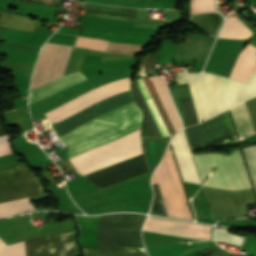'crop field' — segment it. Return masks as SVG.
I'll use <instances>...</instances> for the list:
<instances>
[{
  "mask_svg": "<svg viewBox=\"0 0 256 256\" xmlns=\"http://www.w3.org/2000/svg\"><path fill=\"white\" fill-rule=\"evenodd\" d=\"M176 82H188L199 123L256 96V73L245 84L207 73L177 74Z\"/></svg>",
  "mask_w": 256,
  "mask_h": 256,
  "instance_id": "obj_1",
  "label": "crop field"
},
{
  "mask_svg": "<svg viewBox=\"0 0 256 256\" xmlns=\"http://www.w3.org/2000/svg\"><path fill=\"white\" fill-rule=\"evenodd\" d=\"M128 90L129 77L111 81L110 83L100 86L44 115L49 119L52 125L101 99ZM131 102L132 99L129 91L121 93L101 100L77 112L76 114L52 125V127L57 137H59L95 117H100Z\"/></svg>",
  "mask_w": 256,
  "mask_h": 256,
  "instance_id": "obj_2",
  "label": "crop field"
},
{
  "mask_svg": "<svg viewBox=\"0 0 256 256\" xmlns=\"http://www.w3.org/2000/svg\"><path fill=\"white\" fill-rule=\"evenodd\" d=\"M142 112L133 102L96 118L59 138L68 147V158L95 146L112 141L141 127Z\"/></svg>",
  "mask_w": 256,
  "mask_h": 256,
  "instance_id": "obj_3",
  "label": "crop field"
},
{
  "mask_svg": "<svg viewBox=\"0 0 256 256\" xmlns=\"http://www.w3.org/2000/svg\"><path fill=\"white\" fill-rule=\"evenodd\" d=\"M144 79H145V81H146V83H147V85H148V87H149V89L152 93V96H153V98H154V100H155V102H156V104H157V106H158V108L161 112V115H162V117H163L171 135H173L176 132V130L178 131V129L181 127V120H180V118H179V116L176 112L175 106H174V104H173V102L170 98V95L167 91L166 85H165L162 77L161 76L160 77H152V80H153V82H154V84H155V86H156V88H157V90L160 94V97H161V99H162V101H163V103H164V105H165V107H166V109L169 113V116H170L176 130H175L168 114H167V111H166V109H165V107H164V105H163V103H162V101L159 97V94H158L152 80L149 77H146ZM144 79L139 78V79L135 80V82H136V84H137V86H138V88H139V90H140V92H141V94H142V96H143V98H144V100H145V102H146V104H147V106H148V108H149V110H150V112H151V114H152L160 132H161V134H162V136L163 137L170 136V134L168 132V129H167V127H166V125H165V123H164V121H163V119L160 115V112H159V110H158V108H157V106H156V104H155V102H154V100L151 96V93H150ZM135 82L131 86L132 97H133L135 103H137L138 106L142 109L143 114H144V116H145V118H146L154 136L155 137H162L158 128H157V126H156V124H155V122H154V120H153V118H152V116H151V114H150V112H149V110H148V108H147V106H146V104H145V102H144V100H143V98H142V96H141V94H140V92H139V90H138V88H137V86H136V84H135Z\"/></svg>",
  "mask_w": 256,
  "mask_h": 256,
  "instance_id": "obj_4",
  "label": "crop field"
},
{
  "mask_svg": "<svg viewBox=\"0 0 256 256\" xmlns=\"http://www.w3.org/2000/svg\"><path fill=\"white\" fill-rule=\"evenodd\" d=\"M199 176H205L213 165L211 171L206 175V180L202 185L239 190L249 188L250 183L242 161L240 151H234L231 157H225L217 154L193 155Z\"/></svg>",
  "mask_w": 256,
  "mask_h": 256,
  "instance_id": "obj_5",
  "label": "crop field"
},
{
  "mask_svg": "<svg viewBox=\"0 0 256 256\" xmlns=\"http://www.w3.org/2000/svg\"><path fill=\"white\" fill-rule=\"evenodd\" d=\"M141 129L95 147L69 161L82 176L142 153Z\"/></svg>",
  "mask_w": 256,
  "mask_h": 256,
  "instance_id": "obj_6",
  "label": "crop field"
},
{
  "mask_svg": "<svg viewBox=\"0 0 256 256\" xmlns=\"http://www.w3.org/2000/svg\"><path fill=\"white\" fill-rule=\"evenodd\" d=\"M158 183L168 215L193 220L189 206L185 204V194L178 170L169 148L160 166L154 172L152 184Z\"/></svg>",
  "mask_w": 256,
  "mask_h": 256,
  "instance_id": "obj_7",
  "label": "crop field"
},
{
  "mask_svg": "<svg viewBox=\"0 0 256 256\" xmlns=\"http://www.w3.org/2000/svg\"><path fill=\"white\" fill-rule=\"evenodd\" d=\"M26 256H74L72 231L25 241ZM24 241L7 246L0 240V256H25Z\"/></svg>",
  "mask_w": 256,
  "mask_h": 256,
  "instance_id": "obj_8",
  "label": "crop field"
},
{
  "mask_svg": "<svg viewBox=\"0 0 256 256\" xmlns=\"http://www.w3.org/2000/svg\"><path fill=\"white\" fill-rule=\"evenodd\" d=\"M45 193L41 182L23 162L0 170V203Z\"/></svg>",
  "mask_w": 256,
  "mask_h": 256,
  "instance_id": "obj_9",
  "label": "crop field"
},
{
  "mask_svg": "<svg viewBox=\"0 0 256 256\" xmlns=\"http://www.w3.org/2000/svg\"><path fill=\"white\" fill-rule=\"evenodd\" d=\"M71 48L46 43L34 71L31 90L63 75Z\"/></svg>",
  "mask_w": 256,
  "mask_h": 256,
  "instance_id": "obj_10",
  "label": "crop field"
},
{
  "mask_svg": "<svg viewBox=\"0 0 256 256\" xmlns=\"http://www.w3.org/2000/svg\"><path fill=\"white\" fill-rule=\"evenodd\" d=\"M210 228L212 227L151 216L147 217L143 225V230L146 231L187 236L200 239H210Z\"/></svg>",
  "mask_w": 256,
  "mask_h": 256,
  "instance_id": "obj_11",
  "label": "crop field"
},
{
  "mask_svg": "<svg viewBox=\"0 0 256 256\" xmlns=\"http://www.w3.org/2000/svg\"><path fill=\"white\" fill-rule=\"evenodd\" d=\"M171 144L182 180L200 183L183 129L172 138Z\"/></svg>",
  "mask_w": 256,
  "mask_h": 256,
  "instance_id": "obj_12",
  "label": "crop field"
},
{
  "mask_svg": "<svg viewBox=\"0 0 256 256\" xmlns=\"http://www.w3.org/2000/svg\"><path fill=\"white\" fill-rule=\"evenodd\" d=\"M247 109L249 111L252 123L256 131V97L245 102ZM245 103L231 108V113L233 115L234 123L238 136H243L245 134H251L254 131L253 125L251 123L248 111L246 109ZM248 139L241 140L247 143L256 142V135H251L247 137Z\"/></svg>",
  "mask_w": 256,
  "mask_h": 256,
  "instance_id": "obj_13",
  "label": "crop field"
},
{
  "mask_svg": "<svg viewBox=\"0 0 256 256\" xmlns=\"http://www.w3.org/2000/svg\"><path fill=\"white\" fill-rule=\"evenodd\" d=\"M84 80H86V78L80 72L58 78L52 82H49L41 87L32 90V92H30L29 103L44 96H47L51 93H54L56 91L65 89L74 84L82 82Z\"/></svg>",
  "mask_w": 256,
  "mask_h": 256,
  "instance_id": "obj_14",
  "label": "crop field"
},
{
  "mask_svg": "<svg viewBox=\"0 0 256 256\" xmlns=\"http://www.w3.org/2000/svg\"><path fill=\"white\" fill-rule=\"evenodd\" d=\"M255 62L256 48L248 44L247 47L239 54L229 77L241 82H246Z\"/></svg>",
  "mask_w": 256,
  "mask_h": 256,
  "instance_id": "obj_15",
  "label": "crop field"
},
{
  "mask_svg": "<svg viewBox=\"0 0 256 256\" xmlns=\"http://www.w3.org/2000/svg\"><path fill=\"white\" fill-rule=\"evenodd\" d=\"M251 35L252 32L249 28L233 16L225 19V23L218 37L247 39Z\"/></svg>",
  "mask_w": 256,
  "mask_h": 256,
  "instance_id": "obj_16",
  "label": "crop field"
},
{
  "mask_svg": "<svg viewBox=\"0 0 256 256\" xmlns=\"http://www.w3.org/2000/svg\"><path fill=\"white\" fill-rule=\"evenodd\" d=\"M210 243H214V242L209 241V242L193 243V245H189V246H179V244H175V245H167V246L149 247L146 249L149 253V256H180L181 254L187 251H190L196 248H201Z\"/></svg>",
  "mask_w": 256,
  "mask_h": 256,
  "instance_id": "obj_17",
  "label": "crop field"
},
{
  "mask_svg": "<svg viewBox=\"0 0 256 256\" xmlns=\"http://www.w3.org/2000/svg\"><path fill=\"white\" fill-rule=\"evenodd\" d=\"M35 210L29 198L0 204V217Z\"/></svg>",
  "mask_w": 256,
  "mask_h": 256,
  "instance_id": "obj_18",
  "label": "crop field"
},
{
  "mask_svg": "<svg viewBox=\"0 0 256 256\" xmlns=\"http://www.w3.org/2000/svg\"><path fill=\"white\" fill-rule=\"evenodd\" d=\"M142 45L110 42L106 52L134 55L138 53Z\"/></svg>",
  "mask_w": 256,
  "mask_h": 256,
  "instance_id": "obj_19",
  "label": "crop field"
},
{
  "mask_svg": "<svg viewBox=\"0 0 256 256\" xmlns=\"http://www.w3.org/2000/svg\"><path fill=\"white\" fill-rule=\"evenodd\" d=\"M154 189V200L152 203V207L150 210V213H155V214H162V215H167L158 185H152ZM168 216V215H167Z\"/></svg>",
  "mask_w": 256,
  "mask_h": 256,
  "instance_id": "obj_20",
  "label": "crop field"
},
{
  "mask_svg": "<svg viewBox=\"0 0 256 256\" xmlns=\"http://www.w3.org/2000/svg\"><path fill=\"white\" fill-rule=\"evenodd\" d=\"M216 11L214 0H192L191 12H211Z\"/></svg>",
  "mask_w": 256,
  "mask_h": 256,
  "instance_id": "obj_21",
  "label": "crop field"
},
{
  "mask_svg": "<svg viewBox=\"0 0 256 256\" xmlns=\"http://www.w3.org/2000/svg\"><path fill=\"white\" fill-rule=\"evenodd\" d=\"M108 42L78 37L74 46L104 50Z\"/></svg>",
  "mask_w": 256,
  "mask_h": 256,
  "instance_id": "obj_22",
  "label": "crop field"
},
{
  "mask_svg": "<svg viewBox=\"0 0 256 256\" xmlns=\"http://www.w3.org/2000/svg\"><path fill=\"white\" fill-rule=\"evenodd\" d=\"M215 240L240 245L243 237L231 235L228 233V230L215 229Z\"/></svg>",
  "mask_w": 256,
  "mask_h": 256,
  "instance_id": "obj_23",
  "label": "crop field"
},
{
  "mask_svg": "<svg viewBox=\"0 0 256 256\" xmlns=\"http://www.w3.org/2000/svg\"><path fill=\"white\" fill-rule=\"evenodd\" d=\"M256 188V146L243 149Z\"/></svg>",
  "mask_w": 256,
  "mask_h": 256,
  "instance_id": "obj_24",
  "label": "crop field"
},
{
  "mask_svg": "<svg viewBox=\"0 0 256 256\" xmlns=\"http://www.w3.org/2000/svg\"><path fill=\"white\" fill-rule=\"evenodd\" d=\"M181 101H182L187 125L189 126V125L197 124L198 122H197L195 110L193 107L192 99L191 98L183 99Z\"/></svg>",
  "mask_w": 256,
  "mask_h": 256,
  "instance_id": "obj_25",
  "label": "crop field"
},
{
  "mask_svg": "<svg viewBox=\"0 0 256 256\" xmlns=\"http://www.w3.org/2000/svg\"><path fill=\"white\" fill-rule=\"evenodd\" d=\"M12 148L10 146L9 136H1L0 137V156L12 153Z\"/></svg>",
  "mask_w": 256,
  "mask_h": 256,
  "instance_id": "obj_26",
  "label": "crop field"
},
{
  "mask_svg": "<svg viewBox=\"0 0 256 256\" xmlns=\"http://www.w3.org/2000/svg\"><path fill=\"white\" fill-rule=\"evenodd\" d=\"M144 69H145V66H144V64H143V65H142V69H141V71H140V73H139L138 76H142V75H143Z\"/></svg>",
  "mask_w": 256,
  "mask_h": 256,
  "instance_id": "obj_27",
  "label": "crop field"
},
{
  "mask_svg": "<svg viewBox=\"0 0 256 256\" xmlns=\"http://www.w3.org/2000/svg\"><path fill=\"white\" fill-rule=\"evenodd\" d=\"M254 72H256V67H255V69H254L253 73H254Z\"/></svg>",
  "mask_w": 256,
  "mask_h": 256,
  "instance_id": "obj_28",
  "label": "crop field"
}]
</instances>
